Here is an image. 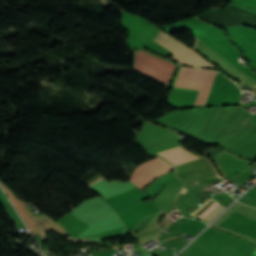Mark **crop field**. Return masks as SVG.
Listing matches in <instances>:
<instances>
[{
  "label": "crop field",
  "mask_w": 256,
  "mask_h": 256,
  "mask_svg": "<svg viewBox=\"0 0 256 256\" xmlns=\"http://www.w3.org/2000/svg\"><path fill=\"white\" fill-rule=\"evenodd\" d=\"M192 48L198 53L205 56L209 61L218 65L220 69H222L226 74L232 77L237 82L246 85L250 88L256 87V80L248 77L245 73L240 71L235 65L227 61L222 56L218 55L214 50L210 49L200 40L196 39Z\"/></svg>",
  "instance_id": "1"
},
{
  "label": "crop field",
  "mask_w": 256,
  "mask_h": 256,
  "mask_svg": "<svg viewBox=\"0 0 256 256\" xmlns=\"http://www.w3.org/2000/svg\"><path fill=\"white\" fill-rule=\"evenodd\" d=\"M153 41L172 51L174 53L173 60L181 64L215 67L211 63L205 61L192 49H189L183 44L175 41L173 38H171L169 35L162 31L159 32V34L155 37Z\"/></svg>",
  "instance_id": "2"
},
{
  "label": "crop field",
  "mask_w": 256,
  "mask_h": 256,
  "mask_svg": "<svg viewBox=\"0 0 256 256\" xmlns=\"http://www.w3.org/2000/svg\"><path fill=\"white\" fill-rule=\"evenodd\" d=\"M175 65L143 51L136 52V69L167 84Z\"/></svg>",
  "instance_id": "3"
},
{
  "label": "crop field",
  "mask_w": 256,
  "mask_h": 256,
  "mask_svg": "<svg viewBox=\"0 0 256 256\" xmlns=\"http://www.w3.org/2000/svg\"><path fill=\"white\" fill-rule=\"evenodd\" d=\"M174 168L165 161L154 158L141 166L137 167L133 172L130 181L141 189L146 186L154 177L159 176Z\"/></svg>",
  "instance_id": "4"
},
{
  "label": "crop field",
  "mask_w": 256,
  "mask_h": 256,
  "mask_svg": "<svg viewBox=\"0 0 256 256\" xmlns=\"http://www.w3.org/2000/svg\"><path fill=\"white\" fill-rule=\"evenodd\" d=\"M152 153L160 155V156L168 159L171 162L186 159V158H190V157H194L190 154L185 153L184 151H182L176 145L165 148V149H161V150H158V151H155V152H152Z\"/></svg>",
  "instance_id": "5"
},
{
  "label": "crop field",
  "mask_w": 256,
  "mask_h": 256,
  "mask_svg": "<svg viewBox=\"0 0 256 256\" xmlns=\"http://www.w3.org/2000/svg\"><path fill=\"white\" fill-rule=\"evenodd\" d=\"M217 207V206H216ZM225 206L219 205L217 208H215L209 215L205 217V219L209 222L212 218H214L221 210H223Z\"/></svg>",
  "instance_id": "6"
},
{
  "label": "crop field",
  "mask_w": 256,
  "mask_h": 256,
  "mask_svg": "<svg viewBox=\"0 0 256 256\" xmlns=\"http://www.w3.org/2000/svg\"><path fill=\"white\" fill-rule=\"evenodd\" d=\"M102 178H103V177H102ZM102 178H100V179H102ZM100 179H98V180H100ZM98 180L94 181L93 183L97 182ZM93 183H91V184H93ZM91 184H89V185H91ZM89 185H87V186H89Z\"/></svg>",
  "instance_id": "7"
},
{
  "label": "crop field",
  "mask_w": 256,
  "mask_h": 256,
  "mask_svg": "<svg viewBox=\"0 0 256 256\" xmlns=\"http://www.w3.org/2000/svg\"><path fill=\"white\" fill-rule=\"evenodd\" d=\"M252 255L256 256V251L252 253Z\"/></svg>",
  "instance_id": "8"
},
{
  "label": "crop field",
  "mask_w": 256,
  "mask_h": 256,
  "mask_svg": "<svg viewBox=\"0 0 256 256\" xmlns=\"http://www.w3.org/2000/svg\"><path fill=\"white\" fill-rule=\"evenodd\" d=\"M145 256H151V254L148 253V254H146Z\"/></svg>",
  "instance_id": "9"
},
{
  "label": "crop field",
  "mask_w": 256,
  "mask_h": 256,
  "mask_svg": "<svg viewBox=\"0 0 256 256\" xmlns=\"http://www.w3.org/2000/svg\"><path fill=\"white\" fill-rule=\"evenodd\" d=\"M209 199V198H208ZM207 200V199H206ZM205 201V200H204Z\"/></svg>",
  "instance_id": "10"
}]
</instances>
